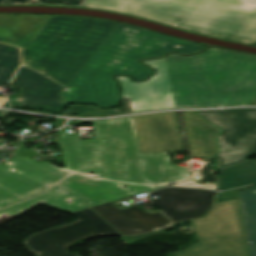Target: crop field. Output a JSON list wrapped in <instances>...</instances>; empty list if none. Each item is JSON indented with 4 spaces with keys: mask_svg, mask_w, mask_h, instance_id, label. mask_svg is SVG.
Returning a JSON list of instances; mask_svg holds the SVG:
<instances>
[{
    "mask_svg": "<svg viewBox=\"0 0 256 256\" xmlns=\"http://www.w3.org/2000/svg\"><path fill=\"white\" fill-rule=\"evenodd\" d=\"M157 71L150 80L133 83L117 77L132 110L168 107L256 105V56L210 48L185 57L169 54L144 61Z\"/></svg>",
    "mask_w": 256,
    "mask_h": 256,
    "instance_id": "crop-field-1",
    "label": "crop field"
},
{
    "mask_svg": "<svg viewBox=\"0 0 256 256\" xmlns=\"http://www.w3.org/2000/svg\"><path fill=\"white\" fill-rule=\"evenodd\" d=\"M206 46L182 41L152 31L118 24L89 60L60 92L64 104L93 103L111 107L118 103L114 74H128L135 80L152 71L137 63L139 59L160 56L167 51L184 54Z\"/></svg>",
    "mask_w": 256,
    "mask_h": 256,
    "instance_id": "crop-field-2",
    "label": "crop field"
},
{
    "mask_svg": "<svg viewBox=\"0 0 256 256\" xmlns=\"http://www.w3.org/2000/svg\"><path fill=\"white\" fill-rule=\"evenodd\" d=\"M81 6L119 11L200 34L256 44V0H86Z\"/></svg>",
    "mask_w": 256,
    "mask_h": 256,
    "instance_id": "crop-field-3",
    "label": "crop field"
},
{
    "mask_svg": "<svg viewBox=\"0 0 256 256\" xmlns=\"http://www.w3.org/2000/svg\"><path fill=\"white\" fill-rule=\"evenodd\" d=\"M97 140L59 130L64 168L111 181L146 184L133 117L93 122Z\"/></svg>",
    "mask_w": 256,
    "mask_h": 256,
    "instance_id": "crop-field-4",
    "label": "crop field"
},
{
    "mask_svg": "<svg viewBox=\"0 0 256 256\" xmlns=\"http://www.w3.org/2000/svg\"><path fill=\"white\" fill-rule=\"evenodd\" d=\"M117 23L93 18L52 16L28 50L23 63L66 86Z\"/></svg>",
    "mask_w": 256,
    "mask_h": 256,
    "instance_id": "crop-field-5",
    "label": "crop field"
},
{
    "mask_svg": "<svg viewBox=\"0 0 256 256\" xmlns=\"http://www.w3.org/2000/svg\"><path fill=\"white\" fill-rule=\"evenodd\" d=\"M193 222L199 242L175 256H247L238 200L217 203L205 218Z\"/></svg>",
    "mask_w": 256,
    "mask_h": 256,
    "instance_id": "crop-field-6",
    "label": "crop field"
},
{
    "mask_svg": "<svg viewBox=\"0 0 256 256\" xmlns=\"http://www.w3.org/2000/svg\"><path fill=\"white\" fill-rule=\"evenodd\" d=\"M198 112L222 130L217 136L220 169L247 161L256 154V108Z\"/></svg>",
    "mask_w": 256,
    "mask_h": 256,
    "instance_id": "crop-field-7",
    "label": "crop field"
},
{
    "mask_svg": "<svg viewBox=\"0 0 256 256\" xmlns=\"http://www.w3.org/2000/svg\"><path fill=\"white\" fill-rule=\"evenodd\" d=\"M7 162L0 165V208L48 191L74 173L31 158H13V166Z\"/></svg>",
    "mask_w": 256,
    "mask_h": 256,
    "instance_id": "crop-field-8",
    "label": "crop field"
},
{
    "mask_svg": "<svg viewBox=\"0 0 256 256\" xmlns=\"http://www.w3.org/2000/svg\"><path fill=\"white\" fill-rule=\"evenodd\" d=\"M78 221L49 229L27 237L24 247L35 256H78L67 250L78 243L97 235L120 234L90 208L71 212Z\"/></svg>",
    "mask_w": 256,
    "mask_h": 256,
    "instance_id": "crop-field-9",
    "label": "crop field"
},
{
    "mask_svg": "<svg viewBox=\"0 0 256 256\" xmlns=\"http://www.w3.org/2000/svg\"><path fill=\"white\" fill-rule=\"evenodd\" d=\"M134 118L141 153L186 150L178 111L137 115Z\"/></svg>",
    "mask_w": 256,
    "mask_h": 256,
    "instance_id": "crop-field-10",
    "label": "crop field"
},
{
    "mask_svg": "<svg viewBox=\"0 0 256 256\" xmlns=\"http://www.w3.org/2000/svg\"><path fill=\"white\" fill-rule=\"evenodd\" d=\"M214 191L165 188L151 193L160 199L151 200L170 219L176 222L205 216L212 207Z\"/></svg>",
    "mask_w": 256,
    "mask_h": 256,
    "instance_id": "crop-field-11",
    "label": "crop field"
},
{
    "mask_svg": "<svg viewBox=\"0 0 256 256\" xmlns=\"http://www.w3.org/2000/svg\"><path fill=\"white\" fill-rule=\"evenodd\" d=\"M118 184L124 185L130 191L118 188ZM59 185L91 206L115 201L148 190L165 187V185L149 186L110 182L78 173L73 174Z\"/></svg>",
    "mask_w": 256,
    "mask_h": 256,
    "instance_id": "crop-field-12",
    "label": "crop field"
},
{
    "mask_svg": "<svg viewBox=\"0 0 256 256\" xmlns=\"http://www.w3.org/2000/svg\"><path fill=\"white\" fill-rule=\"evenodd\" d=\"M10 85L22 89L19 96L26 99L21 106L54 111L64 108L59 94L64 87L24 65L17 71Z\"/></svg>",
    "mask_w": 256,
    "mask_h": 256,
    "instance_id": "crop-field-13",
    "label": "crop field"
},
{
    "mask_svg": "<svg viewBox=\"0 0 256 256\" xmlns=\"http://www.w3.org/2000/svg\"><path fill=\"white\" fill-rule=\"evenodd\" d=\"M91 209L118 230L121 235H136L171 225V222L161 212L146 213L135 205L121 210L110 202L91 207Z\"/></svg>",
    "mask_w": 256,
    "mask_h": 256,
    "instance_id": "crop-field-14",
    "label": "crop field"
},
{
    "mask_svg": "<svg viewBox=\"0 0 256 256\" xmlns=\"http://www.w3.org/2000/svg\"><path fill=\"white\" fill-rule=\"evenodd\" d=\"M49 17L0 14V41L28 49Z\"/></svg>",
    "mask_w": 256,
    "mask_h": 256,
    "instance_id": "crop-field-15",
    "label": "crop field"
},
{
    "mask_svg": "<svg viewBox=\"0 0 256 256\" xmlns=\"http://www.w3.org/2000/svg\"><path fill=\"white\" fill-rule=\"evenodd\" d=\"M182 115L191 155L214 158V135L219 133L218 129L198 117L196 111H182Z\"/></svg>",
    "mask_w": 256,
    "mask_h": 256,
    "instance_id": "crop-field-16",
    "label": "crop field"
},
{
    "mask_svg": "<svg viewBox=\"0 0 256 256\" xmlns=\"http://www.w3.org/2000/svg\"><path fill=\"white\" fill-rule=\"evenodd\" d=\"M147 184L189 179L187 167L169 165L167 152L141 154Z\"/></svg>",
    "mask_w": 256,
    "mask_h": 256,
    "instance_id": "crop-field-17",
    "label": "crop field"
},
{
    "mask_svg": "<svg viewBox=\"0 0 256 256\" xmlns=\"http://www.w3.org/2000/svg\"><path fill=\"white\" fill-rule=\"evenodd\" d=\"M67 198H71L73 202H66ZM38 203L45 204L66 213L90 207L88 204L84 203L63 189L61 186L57 185L43 195L28 199L19 204L1 210L0 216L4 214L17 216Z\"/></svg>",
    "mask_w": 256,
    "mask_h": 256,
    "instance_id": "crop-field-18",
    "label": "crop field"
},
{
    "mask_svg": "<svg viewBox=\"0 0 256 256\" xmlns=\"http://www.w3.org/2000/svg\"><path fill=\"white\" fill-rule=\"evenodd\" d=\"M253 183H256V164L247 161L222 169L218 189L225 190Z\"/></svg>",
    "mask_w": 256,
    "mask_h": 256,
    "instance_id": "crop-field-19",
    "label": "crop field"
},
{
    "mask_svg": "<svg viewBox=\"0 0 256 256\" xmlns=\"http://www.w3.org/2000/svg\"><path fill=\"white\" fill-rule=\"evenodd\" d=\"M249 255L256 256V190L253 188L239 192Z\"/></svg>",
    "mask_w": 256,
    "mask_h": 256,
    "instance_id": "crop-field-20",
    "label": "crop field"
},
{
    "mask_svg": "<svg viewBox=\"0 0 256 256\" xmlns=\"http://www.w3.org/2000/svg\"><path fill=\"white\" fill-rule=\"evenodd\" d=\"M19 63L18 48L0 44V87L9 83Z\"/></svg>",
    "mask_w": 256,
    "mask_h": 256,
    "instance_id": "crop-field-21",
    "label": "crop field"
},
{
    "mask_svg": "<svg viewBox=\"0 0 256 256\" xmlns=\"http://www.w3.org/2000/svg\"><path fill=\"white\" fill-rule=\"evenodd\" d=\"M70 111L60 115L65 117H106V116H112V115H118L120 112L115 110H102V109H96L91 107H83V106H70ZM71 114H79L76 116H73Z\"/></svg>",
    "mask_w": 256,
    "mask_h": 256,
    "instance_id": "crop-field-22",
    "label": "crop field"
},
{
    "mask_svg": "<svg viewBox=\"0 0 256 256\" xmlns=\"http://www.w3.org/2000/svg\"><path fill=\"white\" fill-rule=\"evenodd\" d=\"M30 1H41L52 4L79 5L83 0H0V4H27Z\"/></svg>",
    "mask_w": 256,
    "mask_h": 256,
    "instance_id": "crop-field-23",
    "label": "crop field"
},
{
    "mask_svg": "<svg viewBox=\"0 0 256 256\" xmlns=\"http://www.w3.org/2000/svg\"><path fill=\"white\" fill-rule=\"evenodd\" d=\"M211 159L205 160V166L200 169V174H203L201 178L198 180V184H205V183H216L217 176L213 174V170L210 165Z\"/></svg>",
    "mask_w": 256,
    "mask_h": 256,
    "instance_id": "crop-field-24",
    "label": "crop field"
},
{
    "mask_svg": "<svg viewBox=\"0 0 256 256\" xmlns=\"http://www.w3.org/2000/svg\"><path fill=\"white\" fill-rule=\"evenodd\" d=\"M174 228L175 227L172 226V227L161 229V230H158V231H155V232H152V233H149V234H145V235L132 236V237L121 236V238L123 239L125 245H128V244L135 243V242H138V241H141V240H145V239H148V238H151V237H155V236H158V235H161V234H165V231L170 230V229H174ZM143 237H145V238L143 239Z\"/></svg>",
    "mask_w": 256,
    "mask_h": 256,
    "instance_id": "crop-field-25",
    "label": "crop field"
},
{
    "mask_svg": "<svg viewBox=\"0 0 256 256\" xmlns=\"http://www.w3.org/2000/svg\"><path fill=\"white\" fill-rule=\"evenodd\" d=\"M171 186L216 190V184L198 185L194 180H190V181H187V182H183V183L176 184V185H171Z\"/></svg>",
    "mask_w": 256,
    "mask_h": 256,
    "instance_id": "crop-field-26",
    "label": "crop field"
},
{
    "mask_svg": "<svg viewBox=\"0 0 256 256\" xmlns=\"http://www.w3.org/2000/svg\"><path fill=\"white\" fill-rule=\"evenodd\" d=\"M24 142H21L20 147L16 153V156H37L38 154L32 149L30 151L24 149L22 145Z\"/></svg>",
    "mask_w": 256,
    "mask_h": 256,
    "instance_id": "crop-field-27",
    "label": "crop field"
},
{
    "mask_svg": "<svg viewBox=\"0 0 256 256\" xmlns=\"http://www.w3.org/2000/svg\"><path fill=\"white\" fill-rule=\"evenodd\" d=\"M249 188V187H246ZM245 189V188H241V189H235V190H230V191H224L223 194L225 197H235V198H239L238 195V191Z\"/></svg>",
    "mask_w": 256,
    "mask_h": 256,
    "instance_id": "crop-field-28",
    "label": "crop field"
},
{
    "mask_svg": "<svg viewBox=\"0 0 256 256\" xmlns=\"http://www.w3.org/2000/svg\"><path fill=\"white\" fill-rule=\"evenodd\" d=\"M122 100H123V103H124V105L122 107L123 113L132 112L129 98H122Z\"/></svg>",
    "mask_w": 256,
    "mask_h": 256,
    "instance_id": "crop-field-29",
    "label": "crop field"
},
{
    "mask_svg": "<svg viewBox=\"0 0 256 256\" xmlns=\"http://www.w3.org/2000/svg\"><path fill=\"white\" fill-rule=\"evenodd\" d=\"M227 200H232V199H230V198H224V197L222 196V194L219 193V194L217 195V201H216V203H217V202H222V201H227Z\"/></svg>",
    "mask_w": 256,
    "mask_h": 256,
    "instance_id": "crop-field-30",
    "label": "crop field"
},
{
    "mask_svg": "<svg viewBox=\"0 0 256 256\" xmlns=\"http://www.w3.org/2000/svg\"><path fill=\"white\" fill-rule=\"evenodd\" d=\"M92 121H94V120H92ZM85 122H90V121L72 120L67 125H76V124L85 123Z\"/></svg>",
    "mask_w": 256,
    "mask_h": 256,
    "instance_id": "crop-field-31",
    "label": "crop field"
},
{
    "mask_svg": "<svg viewBox=\"0 0 256 256\" xmlns=\"http://www.w3.org/2000/svg\"><path fill=\"white\" fill-rule=\"evenodd\" d=\"M65 120L56 118L57 128L64 124Z\"/></svg>",
    "mask_w": 256,
    "mask_h": 256,
    "instance_id": "crop-field-32",
    "label": "crop field"
}]
</instances>
